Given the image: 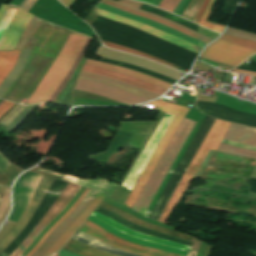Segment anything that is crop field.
<instances>
[{
	"mask_svg": "<svg viewBox=\"0 0 256 256\" xmlns=\"http://www.w3.org/2000/svg\"><path fill=\"white\" fill-rule=\"evenodd\" d=\"M204 117H205V115L201 114V116H200L196 126L194 127L192 133L190 134L189 138L187 137L188 138L187 141L185 142L182 149L180 150L177 157L175 158V160H174L172 166L170 167L167 175L165 176L163 182L161 183V185H160V187H159V189H158L150 207L148 208L147 212L145 213V216L148 217L151 209L153 208L156 200L158 199V197H159L161 191L163 190L165 184L167 183L169 177L171 176V174H172L175 166L177 165L180 157L182 156V154L186 150L187 146L191 142V140L194 137L196 131L198 130L200 124L202 123ZM229 124L230 123H228V122H224V121L216 119L215 123L211 127V129L208 132L207 136L205 137L204 141L202 142L195 158L193 159L192 163L190 164L189 168L187 169L186 173L184 174L183 178L181 179L179 185L177 186L175 192L173 193L165 211L163 212L162 216L159 219V222H161L163 224L165 223V221L167 220V218L169 217V215L172 213L173 209L177 205L178 201L182 197L183 193L187 189L192 177L195 175L197 170L202 165V163H203L205 157L207 156V154L209 153V151L210 150H215L216 151V149H217L219 143L221 142Z\"/></svg>",
	"mask_w": 256,
	"mask_h": 256,
	"instance_id": "crop-field-1",
	"label": "crop field"
},
{
	"mask_svg": "<svg viewBox=\"0 0 256 256\" xmlns=\"http://www.w3.org/2000/svg\"><path fill=\"white\" fill-rule=\"evenodd\" d=\"M85 64L95 66V67H99V68H103V69H107V70L120 72V73L138 78L140 80L149 82L151 84H154V85L166 88V89H168L170 86H172V84H169V83H166V82H163V81H160V80L142 75L140 73H137V72H134V71H131V70H127V69H124V68H121V67L101 63V62H98V61H95V60L87 59ZM91 66H86L85 65L82 71H86V72H90V73L110 77V78H113V79L121 80V81L127 82L129 84L135 85L137 87H140L142 89L157 93L159 95H162L166 91V89L151 85L149 83L140 81L138 79H135V78L123 75V74H119V73H115V72H111V71L91 67ZM86 72H81L79 77L84 78V79H88V80H92V81H96V82H100V83H104V84H108V85H112V86L118 87L120 89H123V90L129 91L131 93H134L136 95L142 96L144 98H147L149 100H152V99L159 96V95H156L154 93L142 90L140 88H137L135 86L129 85V84L121 82V81L113 80V79H110V78H106V77H102V76H98V75H94V74H90V73H86Z\"/></svg>",
	"mask_w": 256,
	"mask_h": 256,
	"instance_id": "crop-field-2",
	"label": "crop field"
},
{
	"mask_svg": "<svg viewBox=\"0 0 256 256\" xmlns=\"http://www.w3.org/2000/svg\"><path fill=\"white\" fill-rule=\"evenodd\" d=\"M87 37L71 32L53 65L38 85L27 104L48 101L70 70ZM65 79V78H64Z\"/></svg>",
	"mask_w": 256,
	"mask_h": 256,
	"instance_id": "crop-field-3",
	"label": "crop field"
},
{
	"mask_svg": "<svg viewBox=\"0 0 256 256\" xmlns=\"http://www.w3.org/2000/svg\"><path fill=\"white\" fill-rule=\"evenodd\" d=\"M196 122L184 118L158 162L151 177L141 191L132 210L144 215L174 157L186 141Z\"/></svg>",
	"mask_w": 256,
	"mask_h": 256,
	"instance_id": "crop-field-4",
	"label": "crop field"
},
{
	"mask_svg": "<svg viewBox=\"0 0 256 256\" xmlns=\"http://www.w3.org/2000/svg\"><path fill=\"white\" fill-rule=\"evenodd\" d=\"M148 104L158 105L157 109L165 111L167 113L176 114L174 120L170 124L169 128L165 132L164 136L162 137L158 147L156 148L155 152L153 153L152 157L150 158L149 162L147 163L143 173L141 174L139 180L135 184L132 192H130L126 202L124 205L132 208L137 196L139 195L140 191L142 190L143 186L147 182L148 178L150 177L152 171L154 170L157 162L159 161L161 155L163 154L170 138L172 137L173 133L177 129L180 122L183 120L189 108L172 105L168 103H163L159 101H155Z\"/></svg>",
	"mask_w": 256,
	"mask_h": 256,
	"instance_id": "crop-field-5",
	"label": "crop field"
},
{
	"mask_svg": "<svg viewBox=\"0 0 256 256\" xmlns=\"http://www.w3.org/2000/svg\"><path fill=\"white\" fill-rule=\"evenodd\" d=\"M32 18L23 10L7 5L0 7V50H12Z\"/></svg>",
	"mask_w": 256,
	"mask_h": 256,
	"instance_id": "crop-field-6",
	"label": "crop field"
},
{
	"mask_svg": "<svg viewBox=\"0 0 256 256\" xmlns=\"http://www.w3.org/2000/svg\"><path fill=\"white\" fill-rule=\"evenodd\" d=\"M41 175L26 172L19 177L13 189V211L8 220L17 222L30 202Z\"/></svg>",
	"mask_w": 256,
	"mask_h": 256,
	"instance_id": "crop-field-7",
	"label": "crop field"
},
{
	"mask_svg": "<svg viewBox=\"0 0 256 256\" xmlns=\"http://www.w3.org/2000/svg\"><path fill=\"white\" fill-rule=\"evenodd\" d=\"M173 117H174V115L165 113L159 126L157 127L154 134L152 135V137L146 144L145 148L143 149L141 154L138 156L133 167L129 171L122 186L126 187L129 190H131L133 188L135 182L137 181L143 168L145 167L146 163L148 162L149 158L151 157L152 153L154 152L155 148L157 147L161 137L163 136L164 132L166 131V129H167L168 125L170 124L171 120L173 119Z\"/></svg>",
	"mask_w": 256,
	"mask_h": 256,
	"instance_id": "crop-field-8",
	"label": "crop field"
},
{
	"mask_svg": "<svg viewBox=\"0 0 256 256\" xmlns=\"http://www.w3.org/2000/svg\"><path fill=\"white\" fill-rule=\"evenodd\" d=\"M79 189L80 186L69 183L68 186L57 198V200L54 202V204L51 206V208L48 210V212L45 214V216L40 220V222L38 223L40 225H36L35 228L31 231V233L38 226L37 229L32 234L30 233V237L28 235L26 239L29 237L28 240H30L42 226L46 227L67 206V204L70 202V200L74 197V195L77 193ZM44 227H42L30 241L25 239L10 256H20L27 249V247L35 240V238L41 233Z\"/></svg>",
	"mask_w": 256,
	"mask_h": 256,
	"instance_id": "crop-field-9",
	"label": "crop field"
},
{
	"mask_svg": "<svg viewBox=\"0 0 256 256\" xmlns=\"http://www.w3.org/2000/svg\"><path fill=\"white\" fill-rule=\"evenodd\" d=\"M254 53V50L217 40L205 49L201 57L237 66Z\"/></svg>",
	"mask_w": 256,
	"mask_h": 256,
	"instance_id": "crop-field-10",
	"label": "crop field"
},
{
	"mask_svg": "<svg viewBox=\"0 0 256 256\" xmlns=\"http://www.w3.org/2000/svg\"><path fill=\"white\" fill-rule=\"evenodd\" d=\"M100 2H103L105 4L111 5L113 7L119 8L127 13L130 14H134L137 16H141V17H145L148 18L150 20H153L155 22H158L160 24H163L165 26L171 27L173 29H176L188 36L194 37L196 39H199L201 41H204L206 43H208L209 41H211V39L204 37L190 29H187L179 24H176L172 21H169L163 17L157 16L155 14L149 13V12H145L142 10H138L139 7L141 6V3H137L134 1H130V0H100Z\"/></svg>",
	"mask_w": 256,
	"mask_h": 256,
	"instance_id": "crop-field-11",
	"label": "crop field"
},
{
	"mask_svg": "<svg viewBox=\"0 0 256 256\" xmlns=\"http://www.w3.org/2000/svg\"><path fill=\"white\" fill-rule=\"evenodd\" d=\"M54 179L42 177V180L29 204L26 208L23 216L20 221L12 228V230L7 234V236L0 241V253L13 241V239L21 232V230L29 222L31 216L42 200L43 196L46 194L49 186L51 185Z\"/></svg>",
	"mask_w": 256,
	"mask_h": 256,
	"instance_id": "crop-field-12",
	"label": "crop field"
},
{
	"mask_svg": "<svg viewBox=\"0 0 256 256\" xmlns=\"http://www.w3.org/2000/svg\"><path fill=\"white\" fill-rule=\"evenodd\" d=\"M85 224H87V225H89V226H91V227H93V228H95V229H97V230H99V231H101V232H103V233H105V234L115 238V239L123 241L125 243L131 244V245H135V246H139V247H143V248H148V249L156 250V251H161V250H157V249H153V248H149V247H145V246H141V245H137V244H134V243H130V242L124 241V240H122V239H120V238H118V237L108 233L107 231L103 230L102 228L98 227L97 225H95V224H93V223H91V222H89L87 220H86ZM85 224H83L82 227H84V228H86V229H88V230H90V231H92V232H94V233H96V234H98V235H100V236H102V237L112 241V242L118 243L120 245L129 247V248H133V249H137V250H141V251H145V252H149V253H153V254H157V255H161V256H174V255H177V254L169 255V254H173V253L161 251V252L169 253V254H165V253L156 252V251H152V250H148V249H143V248H139V247H135V246H131V245L125 244V243L120 242L118 240H115V239H113V238H111V237H109V236H107V235H105V234H103V233H101V232H99V231H97V230H95V229L85 225ZM82 227H80L79 230H81V231H83V232H85L87 234H90V235H92V236H94V237H96V238H98V239H100V240H102V241H104V242H106V243H108V244H110V245L120 249V250L127 251V252L134 253V254H138V255H142V256H156V255H152V254H148V253L132 250V249L120 246L118 244L112 243V242H110V241H108V240H106V239H104V238H102V237H100V236H98V235H96V234H94V233H92V232L82 228ZM178 256H181V255H178Z\"/></svg>",
	"mask_w": 256,
	"mask_h": 256,
	"instance_id": "crop-field-13",
	"label": "crop field"
},
{
	"mask_svg": "<svg viewBox=\"0 0 256 256\" xmlns=\"http://www.w3.org/2000/svg\"><path fill=\"white\" fill-rule=\"evenodd\" d=\"M92 13L94 14H97V15H100L102 17H106V18H109V19H112L114 21H117V22H120V23H123V24H126V25H130V26H133L135 28H138V29H141L143 31H146L148 33H151L159 38H162L168 42H171L173 44H176L180 47H183L185 49H188V50H191L193 52H196L199 54V52L201 51V48L193 45V44H190L186 41H183L179 38H176L172 35H169L167 33H164V32H161L159 30H156L154 28H151V27H148L146 25H143V24H140V23H137V22H134V21H131V20H128V19H125V18H122L120 16H117V15H114L112 13H109V12H106L104 10H100V9H96L94 8Z\"/></svg>",
	"mask_w": 256,
	"mask_h": 256,
	"instance_id": "crop-field-14",
	"label": "crop field"
},
{
	"mask_svg": "<svg viewBox=\"0 0 256 256\" xmlns=\"http://www.w3.org/2000/svg\"><path fill=\"white\" fill-rule=\"evenodd\" d=\"M97 192L90 189L77 208L50 234L45 242L39 247V249L32 256H42L46 250L58 239L63 231L73 223L82 211L88 206V204L94 199Z\"/></svg>",
	"mask_w": 256,
	"mask_h": 256,
	"instance_id": "crop-field-15",
	"label": "crop field"
},
{
	"mask_svg": "<svg viewBox=\"0 0 256 256\" xmlns=\"http://www.w3.org/2000/svg\"><path fill=\"white\" fill-rule=\"evenodd\" d=\"M31 171L37 172V173H40V174H44V175H47V176H50V177L58 178L60 180L62 179V177L64 175V174H59V173L47 171V170H44V169H40V168H37V167L31 169ZM63 180L71 181L75 184L92 188L96 191H99L101 193L106 194L109 197L112 194V192L115 190V188L118 186L115 183L109 182V181L101 179L99 177H97L95 179H79V178H76V177H73V176L65 175Z\"/></svg>",
	"mask_w": 256,
	"mask_h": 256,
	"instance_id": "crop-field-16",
	"label": "crop field"
},
{
	"mask_svg": "<svg viewBox=\"0 0 256 256\" xmlns=\"http://www.w3.org/2000/svg\"><path fill=\"white\" fill-rule=\"evenodd\" d=\"M104 197L105 195L98 193L96 198L83 211L80 217L64 231V233L59 237V239L47 250V252L43 256H49L58 251L59 249H61L67 242V240L78 229V227L83 223V221L88 217V215L98 206V204Z\"/></svg>",
	"mask_w": 256,
	"mask_h": 256,
	"instance_id": "crop-field-17",
	"label": "crop field"
},
{
	"mask_svg": "<svg viewBox=\"0 0 256 256\" xmlns=\"http://www.w3.org/2000/svg\"><path fill=\"white\" fill-rule=\"evenodd\" d=\"M91 216H93V217L103 221L104 223L110 225L111 227H113L121 232H124L128 235H131L135 238H139V239H143V240H147V241H151V242H155V243H159V244H163V245H167V246H171V247H175V248H179V249H183V250H187V251H189V249H190V246H186V245H182V244L175 243L172 241L164 240L161 238L141 234V233L131 230V229H129V228H127V227H125V226H123V225H121V224L95 212V211L93 212V214Z\"/></svg>",
	"mask_w": 256,
	"mask_h": 256,
	"instance_id": "crop-field-18",
	"label": "crop field"
},
{
	"mask_svg": "<svg viewBox=\"0 0 256 256\" xmlns=\"http://www.w3.org/2000/svg\"><path fill=\"white\" fill-rule=\"evenodd\" d=\"M96 7H97V8L104 9V10H107V11H109V12H112V13H114V14L120 15V16H122V17H125V18H128V19H131V20H134V21H137V22L146 24V25H148V26L154 27V28L159 29V30H161V31L167 32V33L172 34V35H174V36H176V37H179V38H181V39H183V40H186V41L191 42V43H193V44H195V45H198V46H200V47H202V48H203V46L206 44V43H204V42H201V41H199V40H196V39H193V38H191V37H188V36H186V35H184V34L178 32V31H176V30H173V29H171V28L165 27V26H163V25H160V24L155 23V22H153V21H150V20H148V19H145V18H141V17H137V16H134V15L127 14V13H125V12L119 11V10H117V9L111 8V7L106 6V5H103V4H101V3H99Z\"/></svg>",
	"mask_w": 256,
	"mask_h": 256,
	"instance_id": "crop-field-19",
	"label": "crop field"
},
{
	"mask_svg": "<svg viewBox=\"0 0 256 256\" xmlns=\"http://www.w3.org/2000/svg\"><path fill=\"white\" fill-rule=\"evenodd\" d=\"M224 138L256 146V129L231 123Z\"/></svg>",
	"mask_w": 256,
	"mask_h": 256,
	"instance_id": "crop-field-20",
	"label": "crop field"
},
{
	"mask_svg": "<svg viewBox=\"0 0 256 256\" xmlns=\"http://www.w3.org/2000/svg\"><path fill=\"white\" fill-rule=\"evenodd\" d=\"M100 207L102 208H105V209H108L134 223H137L145 228H148V229H152V230H155V231H159V232H163V233H167V234H170V235H173V236H176V237H180V238H183V239H186V240H189V241H194V238L192 237H189V236H186L184 234H181V233H178L176 231H172V230H168V229H165V228H162V227H159V226H156V225H153V224H149V223H146V222H143L135 217H132L130 215H128L127 213H125L124 211L118 209V208H115L111 205H108L104 202L101 203Z\"/></svg>",
	"mask_w": 256,
	"mask_h": 256,
	"instance_id": "crop-field-21",
	"label": "crop field"
},
{
	"mask_svg": "<svg viewBox=\"0 0 256 256\" xmlns=\"http://www.w3.org/2000/svg\"><path fill=\"white\" fill-rule=\"evenodd\" d=\"M72 239L81 241L85 244H88L92 247H95L97 249H100V250L105 251L110 254H114V255H118V256H138V255L120 251V250H118L112 246H109V245H107V244H105V243L79 231V230H77V232L73 235Z\"/></svg>",
	"mask_w": 256,
	"mask_h": 256,
	"instance_id": "crop-field-22",
	"label": "crop field"
},
{
	"mask_svg": "<svg viewBox=\"0 0 256 256\" xmlns=\"http://www.w3.org/2000/svg\"><path fill=\"white\" fill-rule=\"evenodd\" d=\"M41 23L42 20L33 16L29 25L20 37L15 49L32 50L37 41V38H33V36Z\"/></svg>",
	"mask_w": 256,
	"mask_h": 256,
	"instance_id": "crop-field-23",
	"label": "crop field"
},
{
	"mask_svg": "<svg viewBox=\"0 0 256 256\" xmlns=\"http://www.w3.org/2000/svg\"><path fill=\"white\" fill-rule=\"evenodd\" d=\"M30 53H31V51L21 50L19 58L15 64L14 68L9 73L7 78L0 85V98L3 97V95L6 93V91L9 89V87L12 85V83L15 81V79L19 75L20 71L24 67Z\"/></svg>",
	"mask_w": 256,
	"mask_h": 256,
	"instance_id": "crop-field-24",
	"label": "crop field"
},
{
	"mask_svg": "<svg viewBox=\"0 0 256 256\" xmlns=\"http://www.w3.org/2000/svg\"><path fill=\"white\" fill-rule=\"evenodd\" d=\"M85 60L86 58L85 56H83L80 64L76 68L70 80L68 81V83L65 85V87L62 89V91L59 93V95L56 97V99L53 102L72 106L73 87Z\"/></svg>",
	"mask_w": 256,
	"mask_h": 256,
	"instance_id": "crop-field-25",
	"label": "crop field"
},
{
	"mask_svg": "<svg viewBox=\"0 0 256 256\" xmlns=\"http://www.w3.org/2000/svg\"><path fill=\"white\" fill-rule=\"evenodd\" d=\"M63 249L84 255V256H114L87 246L83 243L70 239Z\"/></svg>",
	"mask_w": 256,
	"mask_h": 256,
	"instance_id": "crop-field-26",
	"label": "crop field"
},
{
	"mask_svg": "<svg viewBox=\"0 0 256 256\" xmlns=\"http://www.w3.org/2000/svg\"><path fill=\"white\" fill-rule=\"evenodd\" d=\"M19 51L20 50H13L11 52L0 51V84L13 68L18 58Z\"/></svg>",
	"mask_w": 256,
	"mask_h": 256,
	"instance_id": "crop-field-27",
	"label": "crop field"
},
{
	"mask_svg": "<svg viewBox=\"0 0 256 256\" xmlns=\"http://www.w3.org/2000/svg\"><path fill=\"white\" fill-rule=\"evenodd\" d=\"M89 191L88 188L81 194L79 199L66 211V213L46 232L40 242L26 255L31 256L33 252L37 249V247L45 240V238L74 210L77 204L83 199L86 193Z\"/></svg>",
	"mask_w": 256,
	"mask_h": 256,
	"instance_id": "crop-field-28",
	"label": "crop field"
},
{
	"mask_svg": "<svg viewBox=\"0 0 256 256\" xmlns=\"http://www.w3.org/2000/svg\"><path fill=\"white\" fill-rule=\"evenodd\" d=\"M217 151L232 154V155L244 156V157H250V158L256 159V152L240 149V148L229 146V145L222 144V143H220Z\"/></svg>",
	"mask_w": 256,
	"mask_h": 256,
	"instance_id": "crop-field-29",
	"label": "crop field"
},
{
	"mask_svg": "<svg viewBox=\"0 0 256 256\" xmlns=\"http://www.w3.org/2000/svg\"><path fill=\"white\" fill-rule=\"evenodd\" d=\"M101 41H102V40H101ZM102 43H103L105 46H108V47L113 48V49L121 50V51H124V52H128V53H131V54H135V55L141 56V57H145V58H148V59H151V60H154V61H157V62L166 64V65H168V66L174 67V68H176V69L179 68V67H177V66H175V65H172V64H170V63H168V62H166V61L157 59V58H155V57H152V56L143 54V53H141V52H138V51H135V50H132V49H128V48H125V47H122V46H118V45H115V44H112V43H109V42H105V41H102Z\"/></svg>",
	"mask_w": 256,
	"mask_h": 256,
	"instance_id": "crop-field-30",
	"label": "crop field"
},
{
	"mask_svg": "<svg viewBox=\"0 0 256 256\" xmlns=\"http://www.w3.org/2000/svg\"><path fill=\"white\" fill-rule=\"evenodd\" d=\"M91 41V38H88V40L86 41L85 45L83 46L81 52L79 53L72 69L70 70V72L67 74V76L65 77V79L63 80V82L61 83V85L56 89V91L54 92V94L52 95V97L50 98V102H52L54 100V98L57 96V94L61 91V89L64 87V85L67 83L68 79L70 78V76L72 75L73 71L75 70V68L77 67L78 63L80 62L83 53H85L89 43ZM59 95V94H58ZM56 99V98H55Z\"/></svg>",
	"mask_w": 256,
	"mask_h": 256,
	"instance_id": "crop-field-31",
	"label": "crop field"
},
{
	"mask_svg": "<svg viewBox=\"0 0 256 256\" xmlns=\"http://www.w3.org/2000/svg\"><path fill=\"white\" fill-rule=\"evenodd\" d=\"M204 0H192L184 13L182 14V17L194 21L202 3Z\"/></svg>",
	"mask_w": 256,
	"mask_h": 256,
	"instance_id": "crop-field-32",
	"label": "crop field"
},
{
	"mask_svg": "<svg viewBox=\"0 0 256 256\" xmlns=\"http://www.w3.org/2000/svg\"><path fill=\"white\" fill-rule=\"evenodd\" d=\"M215 0H210L200 22H199V25H202V26H205L213 31H216V32H219L221 33V31L224 29V26H220V25H216V24H212V23H208V22H205L213 4H214Z\"/></svg>",
	"mask_w": 256,
	"mask_h": 256,
	"instance_id": "crop-field-33",
	"label": "crop field"
},
{
	"mask_svg": "<svg viewBox=\"0 0 256 256\" xmlns=\"http://www.w3.org/2000/svg\"><path fill=\"white\" fill-rule=\"evenodd\" d=\"M38 106V104L28 106L7 128L13 132L24 120L25 118Z\"/></svg>",
	"mask_w": 256,
	"mask_h": 256,
	"instance_id": "crop-field-34",
	"label": "crop field"
},
{
	"mask_svg": "<svg viewBox=\"0 0 256 256\" xmlns=\"http://www.w3.org/2000/svg\"><path fill=\"white\" fill-rule=\"evenodd\" d=\"M27 106L17 104L7 115H5L0 123L8 126Z\"/></svg>",
	"mask_w": 256,
	"mask_h": 256,
	"instance_id": "crop-field-35",
	"label": "crop field"
},
{
	"mask_svg": "<svg viewBox=\"0 0 256 256\" xmlns=\"http://www.w3.org/2000/svg\"><path fill=\"white\" fill-rule=\"evenodd\" d=\"M220 40L228 41L231 43L239 44L248 48H252L256 50V42L247 41L239 38H235L229 35L223 34V36L220 38Z\"/></svg>",
	"mask_w": 256,
	"mask_h": 256,
	"instance_id": "crop-field-36",
	"label": "crop field"
},
{
	"mask_svg": "<svg viewBox=\"0 0 256 256\" xmlns=\"http://www.w3.org/2000/svg\"><path fill=\"white\" fill-rule=\"evenodd\" d=\"M225 34H229V35L239 37V38H243V39L256 41V35L246 33V32L240 31V30H236V29H233V28H230V27H228V29L225 31Z\"/></svg>",
	"mask_w": 256,
	"mask_h": 256,
	"instance_id": "crop-field-37",
	"label": "crop field"
},
{
	"mask_svg": "<svg viewBox=\"0 0 256 256\" xmlns=\"http://www.w3.org/2000/svg\"><path fill=\"white\" fill-rule=\"evenodd\" d=\"M22 1L23 0H12L10 4L18 7ZM36 1L37 0H24L22 4L19 6V8L28 11Z\"/></svg>",
	"mask_w": 256,
	"mask_h": 256,
	"instance_id": "crop-field-38",
	"label": "crop field"
},
{
	"mask_svg": "<svg viewBox=\"0 0 256 256\" xmlns=\"http://www.w3.org/2000/svg\"><path fill=\"white\" fill-rule=\"evenodd\" d=\"M180 0H162L159 8L172 12Z\"/></svg>",
	"mask_w": 256,
	"mask_h": 256,
	"instance_id": "crop-field-39",
	"label": "crop field"
},
{
	"mask_svg": "<svg viewBox=\"0 0 256 256\" xmlns=\"http://www.w3.org/2000/svg\"><path fill=\"white\" fill-rule=\"evenodd\" d=\"M9 190L10 188H7L5 193H4V196L1 200V203H0V217L3 215L9 201H10V195H9ZM9 206V205H8Z\"/></svg>",
	"mask_w": 256,
	"mask_h": 256,
	"instance_id": "crop-field-40",
	"label": "crop field"
},
{
	"mask_svg": "<svg viewBox=\"0 0 256 256\" xmlns=\"http://www.w3.org/2000/svg\"><path fill=\"white\" fill-rule=\"evenodd\" d=\"M190 1L191 0H181L178 6L174 9L173 13L181 16L182 12L184 11V9L186 8Z\"/></svg>",
	"mask_w": 256,
	"mask_h": 256,
	"instance_id": "crop-field-41",
	"label": "crop field"
},
{
	"mask_svg": "<svg viewBox=\"0 0 256 256\" xmlns=\"http://www.w3.org/2000/svg\"><path fill=\"white\" fill-rule=\"evenodd\" d=\"M14 167H15L14 165L10 164V166H9L8 170L6 171V173L4 174V176L0 175V184H2V185L7 184L8 178L11 175Z\"/></svg>",
	"mask_w": 256,
	"mask_h": 256,
	"instance_id": "crop-field-42",
	"label": "crop field"
},
{
	"mask_svg": "<svg viewBox=\"0 0 256 256\" xmlns=\"http://www.w3.org/2000/svg\"><path fill=\"white\" fill-rule=\"evenodd\" d=\"M222 143H226V144H230L233 146H237V147H241V148H245L248 150H252V151H256V147H252V146H248V145H244V144H240V143H236V142H232V141H228V140H222Z\"/></svg>",
	"mask_w": 256,
	"mask_h": 256,
	"instance_id": "crop-field-43",
	"label": "crop field"
},
{
	"mask_svg": "<svg viewBox=\"0 0 256 256\" xmlns=\"http://www.w3.org/2000/svg\"><path fill=\"white\" fill-rule=\"evenodd\" d=\"M200 240H195L193 246L191 247L190 251L188 252L187 256H196L199 245H200Z\"/></svg>",
	"mask_w": 256,
	"mask_h": 256,
	"instance_id": "crop-field-44",
	"label": "crop field"
},
{
	"mask_svg": "<svg viewBox=\"0 0 256 256\" xmlns=\"http://www.w3.org/2000/svg\"><path fill=\"white\" fill-rule=\"evenodd\" d=\"M8 161L3 159L1 156H0V174H4L6 169H7V165H8Z\"/></svg>",
	"mask_w": 256,
	"mask_h": 256,
	"instance_id": "crop-field-45",
	"label": "crop field"
},
{
	"mask_svg": "<svg viewBox=\"0 0 256 256\" xmlns=\"http://www.w3.org/2000/svg\"><path fill=\"white\" fill-rule=\"evenodd\" d=\"M14 103L6 101L1 107H0V116L4 114L10 107H12Z\"/></svg>",
	"mask_w": 256,
	"mask_h": 256,
	"instance_id": "crop-field-46",
	"label": "crop field"
},
{
	"mask_svg": "<svg viewBox=\"0 0 256 256\" xmlns=\"http://www.w3.org/2000/svg\"><path fill=\"white\" fill-rule=\"evenodd\" d=\"M208 2H209V0H205L204 3H203V5H202V7H201V9H200V11H199V13H198V15H197L195 21H194V22H196L197 24H198V22H199V20H200V18H201V16H202V14H203L205 8H206Z\"/></svg>",
	"mask_w": 256,
	"mask_h": 256,
	"instance_id": "crop-field-47",
	"label": "crop field"
},
{
	"mask_svg": "<svg viewBox=\"0 0 256 256\" xmlns=\"http://www.w3.org/2000/svg\"><path fill=\"white\" fill-rule=\"evenodd\" d=\"M20 172H22V171H21L20 169H18V168L15 167V169H14V171H13L11 177H10V180L8 181L7 186H11V181L14 180V178H15Z\"/></svg>",
	"mask_w": 256,
	"mask_h": 256,
	"instance_id": "crop-field-48",
	"label": "crop field"
},
{
	"mask_svg": "<svg viewBox=\"0 0 256 256\" xmlns=\"http://www.w3.org/2000/svg\"><path fill=\"white\" fill-rule=\"evenodd\" d=\"M139 1H142V2H144L146 4H149V5L157 7V5L159 4V2L161 0H139Z\"/></svg>",
	"mask_w": 256,
	"mask_h": 256,
	"instance_id": "crop-field-49",
	"label": "crop field"
},
{
	"mask_svg": "<svg viewBox=\"0 0 256 256\" xmlns=\"http://www.w3.org/2000/svg\"><path fill=\"white\" fill-rule=\"evenodd\" d=\"M59 254H60L59 256H81V255H77V254L71 253V252L63 250V249L60 250Z\"/></svg>",
	"mask_w": 256,
	"mask_h": 256,
	"instance_id": "crop-field-50",
	"label": "crop field"
},
{
	"mask_svg": "<svg viewBox=\"0 0 256 256\" xmlns=\"http://www.w3.org/2000/svg\"><path fill=\"white\" fill-rule=\"evenodd\" d=\"M230 72L241 73V74L250 75V76H256V73H254V72H248V71L237 70V69H234Z\"/></svg>",
	"mask_w": 256,
	"mask_h": 256,
	"instance_id": "crop-field-51",
	"label": "crop field"
},
{
	"mask_svg": "<svg viewBox=\"0 0 256 256\" xmlns=\"http://www.w3.org/2000/svg\"><path fill=\"white\" fill-rule=\"evenodd\" d=\"M63 5H65L67 8L69 5L73 2V0H59Z\"/></svg>",
	"mask_w": 256,
	"mask_h": 256,
	"instance_id": "crop-field-52",
	"label": "crop field"
},
{
	"mask_svg": "<svg viewBox=\"0 0 256 256\" xmlns=\"http://www.w3.org/2000/svg\"><path fill=\"white\" fill-rule=\"evenodd\" d=\"M249 59L256 61V54L250 57Z\"/></svg>",
	"mask_w": 256,
	"mask_h": 256,
	"instance_id": "crop-field-53",
	"label": "crop field"
},
{
	"mask_svg": "<svg viewBox=\"0 0 256 256\" xmlns=\"http://www.w3.org/2000/svg\"><path fill=\"white\" fill-rule=\"evenodd\" d=\"M5 101L4 100H2L1 102H0V106L4 103Z\"/></svg>",
	"mask_w": 256,
	"mask_h": 256,
	"instance_id": "crop-field-54",
	"label": "crop field"
}]
</instances>
